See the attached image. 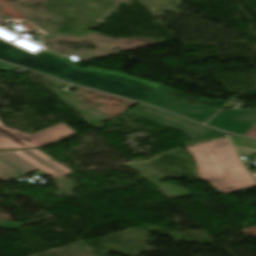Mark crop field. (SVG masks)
<instances>
[{
	"label": "crop field",
	"mask_w": 256,
	"mask_h": 256,
	"mask_svg": "<svg viewBox=\"0 0 256 256\" xmlns=\"http://www.w3.org/2000/svg\"><path fill=\"white\" fill-rule=\"evenodd\" d=\"M15 66H11V65H7V64H4V63H1L0 62V70H11L13 69Z\"/></svg>",
	"instance_id": "28ad6ade"
},
{
	"label": "crop field",
	"mask_w": 256,
	"mask_h": 256,
	"mask_svg": "<svg viewBox=\"0 0 256 256\" xmlns=\"http://www.w3.org/2000/svg\"><path fill=\"white\" fill-rule=\"evenodd\" d=\"M22 176H24L22 173L18 172L17 170L0 160V178L2 180L8 182Z\"/></svg>",
	"instance_id": "5a996713"
},
{
	"label": "crop field",
	"mask_w": 256,
	"mask_h": 256,
	"mask_svg": "<svg viewBox=\"0 0 256 256\" xmlns=\"http://www.w3.org/2000/svg\"><path fill=\"white\" fill-rule=\"evenodd\" d=\"M76 134L64 123L44 129L35 134L4 127L0 121V149L40 148Z\"/></svg>",
	"instance_id": "34b2d1b8"
},
{
	"label": "crop field",
	"mask_w": 256,
	"mask_h": 256,
	"mask_svg": "<svg viewBox=\"0 0 256 256\" xmlns=\"http://www.w3.org/2000/svg\"><path fill=\"white\" fill-rule=\"evenodd\" d=\"M192 155L202 180L219 193H229L256 186L229 139L187 148ZM216 151L215 153H211Z\"/></svg>",
	"instance_id": "ac0d7876"
},
{
	"label": "crop field",
	"mask_w": 256,
	"mask_h": 256,
	"mask_svg": "<svg viewBox=\"0 0 256 256\" xmlns=\"http://www.w3.org/2000/svg\"><path fill=\"white\" fill-rule=\"evenodd\" d=\"M0 157L26 174L41 170L56 178L73 172L56 161H49V156L37 149L0 151Z\"/></svg>",
	"instance_id": "412701ff"
},
{
	"label": "crop field",
	"mask_w": 256,
	"mask_h": 256,
	"mask_svg": "<svg viewBox=\"0 0 256 256\" xmlns=\"http://www.w3.org/2000/svg\"><path fill=\"white\" fill-rule=\"evenodd\" d=\"M172 92H174V90L162 86L141 102L160 106L164 109L202 123H205L209 117L218 111V109L206 105H192L190 103L171 98L168 95Z\"/></svg>",
	"instance_id": "dd49c442"
},
{
	"label": "crop field",
	"mask_w": 256,
	"mask_h": 256,
	"mask_svg": "<svg viewBox=\"0 0 256 256\" xmlns=\"http://www.w3.org/2000/svg\"><path fill=\"white\" fill-rule=\"evenodd\" d=\"M244 135L256 138V125L252 127L250 130H248Z\"/></svg>",
	"instance_id": "3316defc"
},
{
	"label": "crop field",
	"mask_w": 256,
	"mask_h": 256,
	"mask_svg": "<svg viewBox=\"0 0 256 256\" xmlns=\"http://www.w3.org/2000/svg\"><path fill=\"white\" fill-rule=\"evenodd\" d=\"M208 124L243 135L256 124V110H224Z\"/></svg>",
	"instance_id": "e52e79f7"
},
{
	"label": "crop field",
	"mask_w": 256,
	"mask_h": 256,
	"mask_svg": "<svg viewBox=\"0 0 256 256\" xmlns=\"http://www.w3.org/2000/svg\"><path fill=\"white\" fill-rule=\"evenodd\" d=\"M130 113H133L135 115L144 117L146 119L169 126L171 128L183 131L185 134H187L189 137L192 138L188 142L184 143L185 145H189V144H193V143H197V142H201V141L226 135L225 133L191 123L181 118L164 113L162 111L145 107L142 105L138 106L137 108L132 110Z\"/></svg>",
	"instance_id": "f4fd0767"
},
{
	"label": "crop field",
	"mask_w": 256,
	"mask_h": 256,
	"mask_svg": "<svg viewBox=\"0 0 256 256\" xmlns=\"http://www.w3.org/2000/svg\"><path fill=\"white\" fill-rule=\"evenodd\" d=\"M236 148L241 156H247L256 153V142L231 136Z\"/></svg>",
	"instance_id": "d8731c3e"
},
{
	"label": "crop field",
	"mask_w": 256,
	"mask_h": 256,
	"mask_svg": "<svg viewBox=\"0 0 256 256\" xmlns=\"http://www.w3.org/2000/svg\"><path fill=\"white\" fill-rule=\"evenodd\" d=\"M0 59L35 69L63 80L110 92L134 100H142L162 86L130 77L121 72L98 68H80L61 55L44 51L36 57L0 40Z\"/></svg>",
	"instance_id": "8a807250"
}]
</instances>
